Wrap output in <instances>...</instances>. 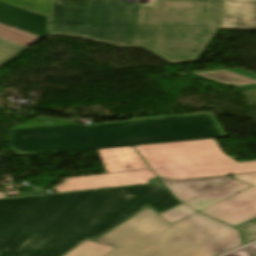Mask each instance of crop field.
I'll return each instance as SVG.
<instances>
[{
	"label": "crop field",
	"mask_w": 256,
	"mask_h": 256,
	"mask_svg": "<svg viewBox=\"0 0 256 256\" xmlns=\"http://www.w3.org/2000/svg\"><path fill=\"white\" fill-rule=\"evenodd\" d=\"M152 171L157 178L165 177L172 180H182L239 173H253L256 172V161L245 163L157 169Z\"/></svg>",
	"instance_id": "obj_8"
},
{
	"label": "crop field",
	"mask_w": 256,
	"mask_h": 256,
	"mask_svg": "<svg viewBox=\"0 0 256 256\" xmlns=\"http://www.w3.org/2000/svg\"><path fill=\"white\" fill-rule=\"evenodd\" d=\"M0 23L40 37L47 35V17L0 2Z\"/></svg>",
	"instance_id": "obj_9"
},
{
	"label": "crop field",
	"mask_w": 256,
	"mask_h": 256,
	"mask_svg": "<svg viewBox=\"0 0 256 256\" xmlns=\"http://www.w3.org/2000/svg\"><path fill=\"white\" fill-rule=\"evenodd\" d=\"M96 241L116 248L106 256H217L242 245L223 223L195 213L169 224L150 208Z\"/></svg>",
	"instance_id": "obj_4"
},
{
	"label": "crop field",
	"mask_w": 256,
	"mask_h": 256,
	"mask_svg": "<svg viewBox=\"0 0 256 256\" xmlns=\"http://www.w3.org/2000/svg\"><path fill=\"white\" fill-rule=\"evenodd\" d=\"M227 256H252V254L246 248H244V249L235 251Z\"/></svg>",
	"instance_id": "obj_19"
},
{
	"label": "crop field",
	"mask_w": 256,
	"mask_h": 256,
	"mask_svg": "<svg viewBox=\"0 0 256 256\" xmlns=\"http://www.w3.org/2000/svg\"><path fill=\"white\" fill-rule=\"evenodd\" d=\"M251 185L246 184L237 179L230 181L214 190H211L205 194H202L196 198L184 202L191 208L199 211L209 205H212L222 199H225Z\"/></svg>",
	"instance_id": "obj_13"
},
{
	"label": "crop field",
	"mask_w": 256,
	"mask_h": 256,
	"mask_svg": "<svg viewBox=\"0 0 256 256\" xmlns=\"http://www.w3.org/2000/svg\"><path fill=\"white\" fill-rule=\"evenodd\" d=\"M0 38L28 47L40 37L0 25Z\"/></svg>",
	"instance_id": "obj_15"
},
{
	"label": "crop field",
	"mask_w": 256,
	"mask_h": 256,
	"mask_svg": "<svg viewBox=\"0 0 256 256\" xmlns=\"http://www.w3.org/2000/svg\"><path fill=\"white\" fill-rule=\"evenodd\" d=\"M114 248L93 241H85L65 256H105Z\"/></svg>",
	"instance_id": "obj_14"
},
{
	"label": "crop field",
	"mask_w": 256,
	"mask_h": 256,
	"mask_svg": "<svg viewBox=\"0 0 256 256\" xmlns=\"http://www.w3.org/2000/svg\"><path fill=\"white\" fill-rule=\"evenodd\" d=\"M97 151L107 173L148 168L132 146Z\"/></svg>",
	"instance_id": "obj_10"
},
{
	"label": "crop field",
	"mask_w": 256,
	"mask_h": 256,
	"mask_svg": "<svg viewBox=\"0 0 256 256\" xmlns=\"http://www.w3.org/2000/svg\"><path fill=\"white\" fill-rule=\"evenodd\" d=\"M193 74L205 77L207 79L229 84L239 90L256 88V74L244 71L239 68L222 69L215 71H199Z\"/></svg>",
	"instance_id": "obj_12"
},
{
	"label": "crop field",
	"mask_w": 256,
	"mask_h": 256,
	"mask_svg": "<svg viewBox=\"0 0 256 256\" xmlns=\"http://www.w3.org/2000/svg\"><path fill=\"white\" fill-rule=\"evenodd\" d=\"M149 181L0 200V256H62L145 205L162 212L180 203L158 179Z\"/></svg>",
	"instance_id": "obj_2"
},
{
	"label": "crop field",
	"mask_w": 256,
	"mask_h": 256,
	"mask_svg": "<svg viewBox=\"0 0 256 256\" xmlns=\"http://www.w3.org/2000/svg\"><path fill=\"white\" fill-rule=\"evenodd\" d=\"M233 177L253 186L199 212L236 226L256 217V173Z\"/></svg>",
	"instance_id": "obj_6"
},
{
	"label": "crop field",
	"mask_w": 256,
	"mask_h": 256,
	"mask_svg": "<svg viewBox=\"0 0 256 256\" xmlns=\"http://www.w3.org/2000/svg\"><path fill=\"white\" fill-rule=\"evenodd\" d=\"M25 47L0 39V67L23 52Z\"/></svg>",
	"instance_id": "obj_16"
},
{
	"label": "crop field",
	"mask_w": 256,
	"mask_h": 256,
	"mask_svg": "<svg viewBox=\"0 0 256 256\" xmlns=\"http://www.w3.org/2000/svg\"><path fill=\"white\" fill-rule=\"evenodd\" d=\"M6 198L3 192H0V199Z\"/></svg>",
	"instance_id": "obj_22"
},
{
	"label": "crop field",
	"mask_w": 256,
	"mask_h": 256,
	"mask_svg": "<svg viewBox=\"0 0 256 256\" xmlns=\"http://www.w3.org/2000/svg\"><path fill=\"white\" fill-rule=\"evenodd\" d=\"M150 178H156L151 170L70 178L63 180L64 182L53 190L64 192L80 189L149 183L148 180Z\"/></svg>",
	"instance_id": "obj_7"
},
{
	"label": "crop field",
	"mask_w": 256,
	"mask_h": 256,
	"mask_svg": "<svg viewBox=\"0 0 256 256\" xmlns=\"http://www.w3.org/2000/svg\"><path fill=\"white\" fill-rule=\"evenodd\" d=\"M248 248L251 250V252L254 254V256H256V243L248 246Z\"/></svg>",
	"instance_id": "obj_21"
},
{
	"label": "crop field",
	"mask_w": 256,
	"mask_h": 256,
	"mask_svg": "<svg viewBox=\"0 0 256 256\" xmlns=\"http://www.w3.org/2000/svg\"><path fill=\"white\" fill-rule=\"evenodd\" d=\"M237 228L242 231V238L244 243L256 240V219Z\"/></svg>",
	"instance_id": "obj_18"
},
{
	"label": "crop field",
	"mask_w": 256,
	"mask_h": 256,
	"mask_svg": "<svg viewBox=\"0 0 256 256\" xmlns=\"http://www.w3.org/2000/svg\"><path fill=\"white\" fill-rule=\"evenodd\" d=\"M225 137L212 112L165 115L127 121L11 130L17 155Z\"/></svg>",
	"instance_id": "obj_3"
},
{
	"label": "crop field",
	"mask_w": 256,
	"mask_h": 256,
	"mask_svg": "<svg viewBox=\"0 0 256 256\" xmlns=\"http://www.w3.org/2000/svg\"><path fill=\"white\" fill-rule=\"evenodd\" d=\"M34 119H35V118H34ZM34 119L28 121V122L25 123V124H21V125H19V126L13 127V128H11V129L31 127V125H32V123H33V121H34Z\"/></svg>",
	"instance_id": "obj_20"
},
{
	"label": "crop field",
	"mask_w": 256,
	"mask_h": 256,
	"mask_svg": "<svg viewBox=\"0 0 256 256\" xmlns=\"http://www.w3.org/2000/svg\"><path fill=\"white\" fill-rule=\"evenodd\" d=\"M219 28L256 29V0H52L48 35L143 47L169 63L197 61Z\"/></svg>",
	"instance_id": "obj_1"
},
{
	"label": "crop field",
	"mask_w": 256,
	"mask_h": 256,
	"mask_svg": "<svg viewBox=\"0 0 256 256\" xmlns=\"http://www.w3.org/2000/svg\"><path fill=\"white\" fill-rule=\"evenodd\" d=\"M232 179L234 178L220 176L182 181H172L164 178H161L160 180L181 202H184Z\"/></svg>",
	"instance_id": "obj_11"
},
{
	"label": "crop field",
	"mask_w": 256,
	"mask_h": 256,
	"mask_svg": "<svg viewBox=\"0 0 256 256\" xmlns=\"http://www.w3.org/2000/svg\"><path fill=\"white\" fill-rule=\"evenodd\" d=\"M133 147L150 169L236 162L214 139Z\"/></svg>",
	"instance_id": "obj_5"
},
{
	"label": "crop field",
	"mask_w": 256,
	"mask_h": 256,
	"mask_svg": "<svg viewBox=\"0 0 256 256\" xmlns=\"http://www.w3.org/2000/svg\"><path fill=\"white\" fill-rule=\"evenodd\" d=\"M195 213L192 209L189 207L181 204L175 208H172L168 211H165L161 214H159L162 218H164L169 223H174L178 220H181L191 214Z\"/></svg>",
	"instance_id": "obj_17"
}]
</instances>
